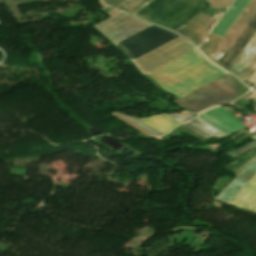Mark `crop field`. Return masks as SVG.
<instances>
[{"instance_id": "1", "label": "crop field", "mask_w": 256, "mask_h": 256, "mask_svg": "<svg viewBox=\"0 0 256 256\" xmlns=\"http://www.w3.org/2000/svg\"><path fill=\"white\" fill-rule=\"evenodd\" d=\"M147 74L179 98L225 73L194 49Z\"/></svg>"}, {"instance_id": "2", "label": "crop field", "mask_w": 256, "mask_h": 256, "mask_svg": "<svg viewBox=\"0 0 256 256\" xmlns=\"http://www.w3.org/2000/svg\"><path fill=\"white\" fill-rule=\"evenodd\" d=\"M247 91L248 88L227 73L176 101L188 112L196 113L212 106L229 104Z\"/></svg>"}, {"instance_id": "3", "label": "crop field", "mask_w": 256, "mask_h": 256, "mask_svg": "<svg viewBox=\"0 0 256 256\" xmlns=\"http://www.w3.org/2000/svg\"><path fill=\"white\" fill-rule=\"evenodd\" d=\"M203 7L202 0H154L135 16L175 31Z\"/></svg>"}, {"instance_id": "4", "label": "crop field", "mask_w": 256, "mask_h": 256, "mask_svg": "<svg viewBox=\"0 0 256 256\" xmlns=\"http://www.w3.org/2000/svg\"><path fill=\"white\" fill-rule=\"evenodd\" d=\"M177 37L151 25L115 45L132 61Z\"/></svg>"}, {"instance_id": "5", "label": "crop field", "mask_w": 256, "mask_h": 256, "mask_svg": "<svg viewBox=\"0 0 256 256\" xmlns=\"http://www.w3.org/2000/svg\"><path fill=\"white\" fill-rule=\"evenodd\" d=\"M193 48L187 39L179 37L132 62L145 74Z\"/></svg>"}, {"instance_id": "6", "label": "crop field", "mask_w": 256, "mask_h": 256, "mask_svg": "<svg viewBox=\"0 0 256 256\" xmlns=\"http://www.w3.org/2000/svg\"><path fill=\"white\" fill-rule=\"evenodd\" d=\"M255 60L256 33L227 70L232 72L240 79L249 81V79L256 72V69L251 68L252 63ZM253 67L256 68V63L253 65Z\"/></svg>"}, {"instance_id": "7", "label": "crop field", "mask_w": 256, "mask_h": 256, "mask_svg": "<svg viewBox=\"0 0 256 256\" xmlns=\"http://www.w3.org/2000/svg\"><path fill=\"white\" fill-rule=\"evenodd\" d=\"M255 32H256V15L248 23V25L241 32V34L237 37V39L233 42V44L229 47V49L222 56V58L219 60V62L229 67V65L236 58V56L240 53V51L247 44V42L254 35ZM210 56L215 58L212 54Z\"/></svg>"}, {"instance_id": "8", "label": "crop field", "mask_w": 256, "mask_h": 256, "mask_svg": "<svg viewBox=\"0 0 256 256\" xmlns=\"http://www.w3.org/2000/svg\"><path fill=\"white\" fill-rule=\"evenodd\" d=\"M249 2L250 0H235L228 11L212 29L211 33L223 37Z\"/></svg>"}, {"instance_id": "9", "label": "crop field", "mask_w": 256, "mask_h": 256, "mask_svg": "<svg viewBox=\"0 0 256 256\" xmlns=\"http://www.w3.org/2000/svg\"><path fill=\"white\" fill-rule=\"evenodd\" d=\"M229 204L256 213V175Z\"/></svg>"}, {"instance_id": "10", "label": "crop field", "mask_w": 256, "mask_h": 256, "mask_svg": "<svg viewBox=\"0 0 256 256\" xmlns=\"http://www.w3.org/2000/svg\"><path fill=\"white\" fill-rule=\"evenodd\" d=\"M256 174V161L248 166L218 197L228 203Z\"/></svg>"}, {"instance_id": "11", "label": "crop field", "mask_w": 256, "mask_h": 256, "mask_svg": "<svg viewBox=\"0 0 256 256\" xmlns=\"http://www.w3.org/2000/svg\"><path fill=\"white\" fill-rule=\"evenodd\" d=\"M213 120L217 121L221 125L225 126L229 130L236 132L244 128L236 119H234L227 111L222 107L207 111L204 113Z\"/></svg>"}, {"instance_id": "12", "label": "crop field", "mask_w": 256, "mask_h": 256, "mask_svg": "<svg viewBox=\"0 0 256 256\" xmlns=\"http://www.w3.org/2000/svg\"><path fill=\"white\" fill-rule=\"evenodd\" d=\"M183 125L187 126L188 128L195 131L206 139L226 137L225 135H223L222 133L209 126L197 117Z\"/></svg>"}, {"instance_id": "13", "label": "crop field", "mask_w": 256, "mask_h": 256, "mask_svg": "<svg viewBox=\"0 0 256 256\" xmlns=\"http://www.w3.org/2000/svg\"><path fill=\"white\" fill-rule=\"evenodd\" d=\"M139 120L164 134L180 124L164 115Z\"/></svg>"}, {"instance_id": "14", "label": "crop field", "mask_w": 256, "mask_h": 256, "mask_svg": "<svg viewBox=\"0 0 256 256\" xmlns=\"http://www.w3.org/2000/svg\"><path fill=\"white\" fill-rule=\"evenodd\" d=\"M151 1L153 0H126L117 8L134 15Z\"/></svg>"}, {"instance_id": "15", "label": "crop field", "mask_w": 256, "mask_h": 256, "mask_svg": "<svg viewBox=\"0 0 256 256\" xmlns=\"http://www.w3.org/2000/svg\"><path fill=\"white\" fill-rule=\"evenodd\" d=\"M197 117H199L200 119H202L206 123L210 124L211 126L216 128L217 130H219L220 132H222V133H224L228 136H230L233 133V132L229 131L228 129L224 128L223 126H221L220 124L216 123L215 121L211 120L207 116L203 115L202 113L199 114Z\"/></svg>"}, {"instance_id": "16", "label": "crop field", "mask_w": 256, "mask_h": 256, "mask_svg": "<svg viewBox=\"0 0 256 256\" xmlns=\"http://www.w3.org/2000/svg\"><path fill=\"white\" fill-rule=\"evenodd\" d=\"M254 146L256 147V140L247 144V145H245V146H243V147H241V148H239V149H237V150H235V151H233V152H231V153H229V154H227V155H229L230 157L233 158V157L237 156L238 154H240L241 152H243V151H245V150H247L251 147H254Z\"/></svg>"}, {"instance_id": "17", "label": "crop field", "mask_w": 256, "mask_h": 256, "mask_svg": "<svg viewBox=\"0 0 256 256\" xmlns=\"http://www.w3.org/2000/svg\"><path fill=\"white\" fill-rule=\"evenodd\" d=\"M167 116H169V117H171V118H173V119H175V120H177L181 123H183L187 120H190L193 117L191 115H182V114H167Z\"/></svg>"}, {"instance_id": "18", "label": "crop field", "mask_w": 256, "mask_h": 256, "mask_svg": "<svg viewBox=\"0 0 256 256\" xmlns=\"http://www.w3.org/2000/svg\"><path fill=\"white\" fill-rule=\"evenodd\" d=\"M123 117H124V116H123ZM125 117H126V116H125ZM126 118H128L129 120H131V121H133L134 123L138 124L139 126H141L142 128H144L145 130H147V131H149V132H151V133H153V134H155V135H157V136L162 135L161 133H159V132H157V131L151 129L150 127L146 126L145 124H143L142 122H140V121H138V120H136V119H134V118H130V117H126Z\"/></svg>"}, {"instance_id": "19", "label": "crop field", "mask_w": 256, "mask_h": 256, "mask_svg": "<svg viewBox=\"0 0 256 256\" xmlns=\"http://www.w3.org/2000/svg\"><path fill=\"white\" fill-rule=\"evenodd\" d=\"M105 3L112 5L114 7L118 6L120 3H122L124 0H104Z\"/></svg>"}]
</instances>
